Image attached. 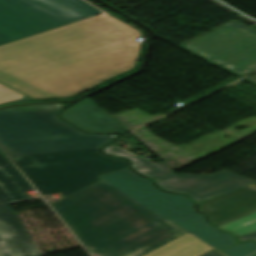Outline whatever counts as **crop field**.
<instances>
[{
    "mask_svg": "<svg viewBox=\"0 0 256 256\" xmlns=\"http://www.w3.org/2000/svg\"><path fill=\"white\" fill-rule=\"evenodd\" d=\"M140 35L109 15L0 47V83L33 99L74 96L133 68Z\"/></svg>",
    "mask_w": 256,
    "mask_h": 256,
    "instance_id": "crop-field-1",
    "label": "crop field"
},
{
    "mask_svg": "<svg viewBox=\"0 0 256 256\" xmlns=\"http://www.w3.org/2000/svg\"><path fill=\"white\" fill-rule=\"evenodd\" d=\"M51 205L93 256H144L186 233L103 180Z\"/></svg>",
    "mask_w": 256,
    "mask_h": 256,
    "instance_id": "crop-field-2",
    "label": "crop field"
},
{
    "mask_svg": "<svg viewBox=\"0 0 256 256\" xmlns=\"http://www.w3.org/2000/svg\"><path fill=\"white\" fill-rule=\"evenodd\" d=\"M63 105L0 110V149L7 156L99 148L112 135H88L56 118Z\"/></svg>",
    "mask_w": 256,
    "mask_h": 256,
    "instance_id": "crop-field-3",
    "label": "crop field"
},
{
    "mask_svg": "<svg viewBox=\"0 0 256 256\" xmlns=\"http://www.w3.org/2000/svg\"><path fill=\"white\" fill-rule=\"evenodd\" d=\"M43 195L64 197L100 180L97 176L126 168L124 160L105 157L98 149L11 157Z\"/></svg>",
    "mask_w": 256,
    "mask_h": 256,
    "instance_id": "crop-field-4",
    "label": "crop field"
},
{
    "mask_svg": "<svg viewBox=\"0 0 256 256\" xmlns=\"http://www.w3.org/2000/svg\"><path fill=\"white\" fill-rule=\"evenodd\" d=\"M101 13L83 0H0V45Z\"/></svg>",
    "mask_w": 256,
    "mask_h": 256,
    "instance_id": "crop-field-5",
    "label": "crop field"
},
{
    "mask_svg": "<svg viewBox=\"0 0 256 256\" xmlns=\"http://www.w3.org/2000/svg\"><path fill=\"white\" fill-rule=\"evenodd\" d=\"M182 47L239 75L256 70V31L236 21Z\"/></svg>",
    "mask_w": 256,
    "mask_h": 256,
    "instance_id": "crop-field-6",
    "label": "crop field"
},
{
    "mask_svg": "<svg viewBox=\"0 0 256 256\" xmlns=\"http://www.w3.org/2000/svg\"><path fill=\"white\" fill-rule=\"evenodd\" d=\"M33 190L21 173L0 153V243L11 256H39L21 221L8 204L31 199L26 191ZM0 256H4L0 246Z\"/></svg>",
    "mask_w": 256,
    "mask_h": 256,
    "instance_id": "crop-field-7",
    "label": "crop field"
},
{
    "mask_svg": "<svg viewBox=\"0 0 256 256\" xmlns=\"http://www.w3.org/2000/svg\"><path fill=\"white\" fill-rule=\"evenodd\" d=\"M99 177L171 222L196 213L185 196L162 192L128 168Z\"/></svg>",
    "mask_w": 256,
    "mask_h": 256,
    "instance_id": "crop-field-8",
    "label": "crop field"
},
{
    "mask_svg": "<svg viewBox=\"0 0 256 256\" xmlns=\"http://www.w3.org/2000/svg\"><path fill=\"white\" fill-rule=\"evenodd\" d=\"M164 190L190 195L196 202L254 182L226 169L213 175H177L155 179Z\"/></svg>",
    "mask_w": 256,
    "mask_h": 256,
    "instance_id": "crop-field-9",
    "label": "crop field"
},
{
    "mask_svg": "<svg viewBox=\"0 0 256 256\" xmlns=\"http://www.w3.org/2000/svg\"><path fill=\"white\" fill-rule=\"evenodd\" d=\"M250 185V184H249ZM217 227L256 211V183L199 203Z\"/></svg>",
    "mask_w": 256,
    "mask_h": 256,
    "instance_id": "crop-field-10",
    "label": "crop field"
},
{
    "mask_svg": "<svg viewBox=\"0 0 256 256\" xmlns=\"http://www.w3.org/2000/svg\"><path fill=\"white\" fill-rule=\"evenodd\" d=\"M63 117L90 132L121 131L125 134L128 133L96 104L88 105Z\"/></svg>",
    "mask_w": 256,
    "mask_h": 256,
    "instance_id": "crop-field-11",
    "label": "crop field"
},
{
    "mask_svg": "<svg viewBox=\"0 0 256 256\" xmlns=\"http://www.w3.org/2000/svg\"><path fill=\"white\" fill-rule=\"evenodd\" d=\"M174 223L219 251L236 243L232 234L216 231L206 223L204 216L199 213Z\"/></svg>",
    "mask_w": 256,
    "mask_h": 256,
    "instance_id": "crop-field-12",
    "label": "crop field"
},
{
    "mask_svg": "<svg viewBox=\"0 0 256 256\" xmlns=\"http://www.w3.org/2000/svg\"><path fill=\"white\" fill-rule=\"evenodd\" d=\"M210 249L213 248L188 233L146 256H198Z\"/></svg>",
    "mask_w": 256,
    "mask_h": 256,
    "instance_id": "crop-field-13",
    "label": "crop field"
},
{
    "mask_svg": "<svg viewBox=\"0 0 256 256\" xmlns=\"http://www.w3.org/2000/svg\"><path fill=\"white\" fill-rule=\"evenodd\" d=\"M104 153L108 155H114V156H121V157H127L131 159L132 166L140 173L150 177L155 178L158 176H162L165 174L172 173L173 171L166 166L162 161L158 163H154L150 160H147L145 158H142L138 155H135L121 147H118L114 144L106 147L103 150Z\"/></svg>",
    "mask_w": 256,
    "mask_h": 256,
    "instance_id": "crop-field-14",
    "label": "crop field"
},
{
    "mask_svg": "<svg viewBox=\"0 0 256 256\" xmlns=\"http://www.w3.org/2000/svg\"><path fill=\"white\" fill-rule=\"evenodd\" d=\"M219 229L234 232L238 237L256 231V212L225 224Z\"/></svg>",
    "mask_w": 256,
    "mask_h": 256,
    "instance_id": "crop-field-15",
    "label": "crop field"
},
{
    "mask_svg": "<svg viewBox=\"0 0 256 256\" xmlns=\"http://www.w3.org/2000/svg\"><path fill=\"white\" fill-rule=\"evenodd\" d=\"M254 251H256V244L254 242H246L244 244H237L222 253L227 256H247Z\"/></svg>",
    "mask_w": 256,
    "mask_h": 256,
    "instance_id": "crop-field-16",
    "label": "crop field"
},
{
    "mask_svg": "<svg viewBox=\"0 0 256 256\" xmlns=\"http://www.w3.org/2000/svg\"><path fill=\"white\" fill-rule=\"evenodd\" d=\"M22 97L24 96L0 84V103L18 100Z\"/></svg>",
    "mask_w": 256,
    "mask_h": 256,
    "instance_id": "crop-field-17",
    "label": "crop field"
},
{
    "mask_svg": "<svg viewBox=\"0 0 256 256\" xmlns=\"http://www.w3.org/2000/svg\"><path fill=\"white\" fill-rule=\"evenodd\" d=\"M239 239L240 240H245V239H254V240H256V232H253V233H251L249 235H246L244 237H240Z\"/></svg>",
    "mask_w": 256,
    "mask_h": 256,
    "instance_id": "crop-field-18",
    "label": "crop field"
},
{
    "mask_svg": "<svg viewBox=\"0 0 256 256\" xmlns=\"http://www.w3.org/2000/svg\"><path fill=\"white\" fill-rule=\"evenodd\" d=\"M203 256H221V255H219L218 253H216L214 251H211V252H209V253H207V254H205Z\"/></svg>",
    "mask_w": 256,
    "mask_h": 256,
    "instance_id": "crop-field-19",
    "label": "crop field"
},
{
    "mask_svg": "<svg viewBox=\"0 0 256 256\" xmlns=\"http://www.w3.org/2000/svg\"><path fill=\"white\" fill-rule=\"evenodd\" d=\"M1 246H2V250H3L4 255L5 256H10L8 251H7V249H6V247L4 246V244H1Z\"/></svg>",
    "mask_w": 256,
    "mask_h": 256,
    "instance_id": "crop-field-20",
    "label": "crop field"
},
{
    "mask_svg": "<svg viewBox=\"0 0 256 256\" xmlns=\"http://www.w3.org/2000/svg\"><path fill=\"white\" fill-rule=\"evenodd\" d=\"M248 79H250V80H252V81L256 82V74H255V75H253V76H251V77H249Z\"/></svg>",
    "mask_w": 256,
    "mask_h": 256,
    "instance_id": "crop-field-21",
    "label": "crop field"
},
{
    "mask_svg": "<svg viewBox=\"0 0 256 256\" xmlns=\"http://www.w3.org/2000/svg\"><path fill=\"white\" fill-rule=\"evenodd\" d=\"M251 256H256V253H254L253 255H251Z\"/></svg>",
    "mask_w": 256,
    "mask_h": 256,
    "instance_id": "crop-field-22",
    "label": "crop field"
}]
</instances>
